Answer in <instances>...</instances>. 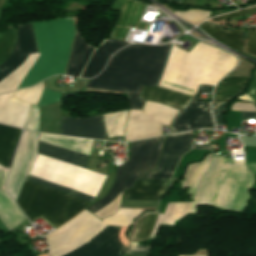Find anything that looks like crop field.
<instances>
[{"label":"crop field","instance_id":"8a807250","mask_svg":"<svg viewBox=\"0 0 256 256\" xmlns=\"http://www.w3.org/2000/svg\"><path fill=\"white\" fill-rule=\"evenodd\" d=\"M171 45L133 44L119 50L103 72L90 79L86 88L127 92L129 107L140 109L144 102L137 99L140 87L158 85Z\"/></svg>","mask_w":256,"mask_h":256},{"label":"crop field","instance_id":"ac0d7876","mask_svg":"<svg viewBox=\"0 0 256 256\" xmlns=\"http://www.w3.org/2000/svg\"><path fill=\"white\" fill-rule=\"evenodd\" d=\"M236 61L234 56L199 41L188 52L172 46L158 86L193 97L199 84L214 86Z\"/></svg>","mask_w":256,"mask_h":256},{"label":"crop field","instance_id":"34b2d1b8","mask_svg":"<svg viewBox=\"0 0 256 256\" xmlns=\"http://www.w3.org/2000/svg\"><path fill=\"white\" fill-rule=\"evenodd\" d=\"M87 211L43 236L50 247V256H63L89 240L104 225ZM120 227L107 226L82 246L65 256H122L126 248L120 243L117 232Z\"/></svg>","mask_w":256,"mask_h":256},{"label":"crop field","instance_id":"412701ff","mask_svg":"<svg viewBox=\"0 0 256 256\" xmlns=\"http://www.w3.org/2000/svg\"><path fill=\"white\" fill-rule=\"evenodd\" d=\"M40 56L20 85L32 86L55 74L65 73L74 38L71 18L32 23Z\"/></svg>","mask_w":256,"mask_h":256},{"label":"crop field","instance_id":"f4fd0767","mask_svg":"<svg viewBox=\"0 0 256 256\" xmlns=\"http://www.w3.org/2000/svg\"><path fill=\"white\" fill-rule=\"evenodd\" d=\"M51 191V189L25 180L17 204L30 220ZM88 204L71 195L53 190L30 222L42 215L57 227L78 214Z\"/></svg>","mask_w":256,"mask_h":256},{"label":"crop field","instance_id":"dd49c442","mask_svg":"<svg viewBox=\"0 0 256 256\" xmlns=\"http://www.w3.org/2000/svg\"><path fill=\"white\" fill-rule=\"evenodd\" d=\"M214 87L200 85L197 92L212 93ZM184 96L167 89L159 87L142 86L138 98L152 100L181 109L179 115L171 123L175 132H182L191 129H215V124L210 108L211 102H195V98Z\"/></svg>","mask_w":256,"mask_h":256},{"label":"crop field","instance_id":"e52e79f7","mask_svg":"<svg viewBox=\"0 0 256 256\" xmlns=\"http://www.w3.org/2000/svg\"><path fill=\"white\" fill-rule=\"evenodd\" d=\"M192 132L168 136L160 153L156 172L140 178L170 179L179 158L191 148ZM170 180L137 179L123 197L158 199L168 188Z\"/></svg>","mask_w":256,"mask_h":256},{"label":"crop field","instance_id":"d8731c3e","mask_svg":"<svg viewBox=\"0 0 256 256\" xmlns=\"http://www.w3.org/2000/svg\"><path fill=\"white\" fill-rule=\"evenodd\" d=\"M38 154L43 155L46 157H50L56 160H60L63 162H67L70 164H74L80 167H86V163L88 160L87 154L79 153V152H74L66 149H61L53 146H48L44 144H38ZM30 175L60 184L64 185L91 195L96 196L100 186L67 176L65 174L38 166V165H33ZM28 177V179L33 180L37 183L58 189L60 191L69 193L73 196L79 197L81 199H84L86 201L92 202L94 199V196L64 187L60 186L33 176Z\"/></svg>","mask_w":256,"mask_h":256},{"label":"crop field","instance_id":"5a996713","mask_svg":"<svg viewBox=\"0 0 256 256\" xmlns=\"http://www.w3.org/2000/svg\"><path fill=\"white\" fill-rule=\"evenodd\" d=\"M163 138L132 143L130 159L118 168L113 188L103 199L87 209L95 214L119 193L129 188L136 180V177L142 176L148 171L155 170L156 158L160 151Z\"/></svg>","mask_w":256,"mask_h":256},{"label":"crop field","instance_id":"3316defc","mask_svg":"<svg viewBox=\"0 0 256 256\" xmlns=\"http://www.w3.org/2000/svg\"><path fill=\"white\" fill-rule=\"evenodd\" d=\"M127 44H129V42H120L108 39L95 51L82 78H91L98 75L106 66L109 57L117 50L125 47ZM93 51L94 47L90 46L83 39L81 34L76 31L66 75L80 77Z\"/></svg>","mask_w":256,"mask_h":256},{"label":"crop field","instance_id":"28ad6ade","mask_svg":"<svg viewBox=\"0 0 256 256\" xmlns=\"http://www.w3.org/2000/svg\"><path fill=\"white\" fill-rule=\"evenodd\" d=\"M37 142V133L23 131L18 151L6 184L7 191L15 201H17L23 182L27 178L37 156Z\"/></svg>","mask_w":256,"mask_h":256},{"label":"crop field","instance_id":"d1516ede","mask_svg":"<svg viewBox=\"0 0 256 256\" xmlns=\"http://www.w3.org/2000/svg\"><path fill=\"white\" fill-rule=\"evenodd\" d=\"M17 35V42L12 54L0 65V80L21 65L29 53L37 52L31 24L18 25Z\"/></svg>","mask_w":256,"mask_h":256},{"label":"crop field","instance_id":"22f410ed","mask_svg":"<svg viewBox=\"0 0 256 256\" xmlns=\"http://www.w3.org/2000/svg\"><path fill=\"white\" fill-rule=\"evenodd\" d=\"M250 76L244 77H224L215 88L213 101L228 102L233 96L241 93L242 88L246 86ZM213 102V112L217 126L223 125L222 114L224 103Z\"/></svg>","mask_w":256,"mask_h":256},{"label":"crop field","instance_id":"cbeb9de0","mask_svg":"<svg viewBox=\"0 0 256 256\" xmlns=\"http://www.w3.org/2000/svg\"><path fill=\"white\" fill-rule=\"evenodd\" d=\"M145 7L137 0H126L111 39L124 40L129 27L148 30L151 24L139 23Z\"/></svg>","mask_w":256,"mask_h":256},{"label":"crop field","instance_id":"5142ce71","mask_svg":"<svg viewBox=\"0 0 256 256\" xmlns=\"http://www.w3.org/2000/svg\"><path fill=\"white\" fill-rule=\"evenodd\" d=\"M99 116L101 115L93 116L89 118L77 119V120H85V119H90V118L99 117ZM66 119H72V118H66ZM66 119H61V134L105 139V133H104L101 117L85 120V121L66 120Z\"/></svg>","mask_w":256,"mask_h":256},{"label":"crop field","instance_id":"d9b57169","mask_svg":"<svg viewBox=\"0 0 256 256\" xmlns=\"http://www.w3.org/2000/svg\"><path fill=\"white\" fill-rule=\"evenodd\" d=\"M29 104L10 98L0 107V122L23 128Z\"/></svg>","mask_w":256,"mask_h":256},{"label":"crop field","instance_id":"733c2abd","mask_svg":"<svg viewBox=\"0 0 256 256\" xmlns=\"http://www.w3.org/2000/svg\"><path fill=\"white\" fill-rule=\"evenodd\" d=\"M21 130L0 125V163L9 168Z\"/></svg>","mask_w":256,"mask_h":256},{"label":"crop field","instance_id":"4a817a6b","mask_svg":"<svg viewBox=\"0 0 256 256\" xmlns=\"http://www.w3.org/2000/svg\"><path fill=\"white\" fill-rule=\"evenodd\" d=\"M199 27L224 45L243 53L242 29L224 31L221 27L210 23H203Z\"/></svg>","mask_w":256,"mask_h":256},{"label":"crop field","instance_id":"bc2a9ffb","mask_svg":"<svg viewBox=\"0 0 256 256\" xmlns=\"http://www.w3.org/2000/svg\"><path fill=\"white\" fill-rule=\"evenodd\" d=\"M25 219L7 193L0 190V222L7 231L16 228Z\"/></svg>","mask_w":256,"mask_h":256},{"label":"crop field","instance_id":"214f88e0","mask_svg":"<svg viewBox=\"0 0 256 256\" xmlns=\"http://www.w3.org/2000/svg\"><path fill=\"white\" fill-rule=\"evenodd\" d=\"M191 203H174L169 202L163 215H158L157 222L150 236L153 235L154 230L158 224H170L172 225L174 219H180L185 216L186 213H190Z\"/></svg>","mask_w":256,"mask_h":256},{"label":"crop field","instance_id":"92a150f3","mask_svg":"<svg viewBox=\"0 0 256 256\" xmlns=\"http://www.w3.org/2000/svg\"><path fill=\"white\" fill-rule=\"evenodd\" d=\"M211 160V154H208L201 163L190 164L186 170L182 186L196 188L201 177L207 171Z\"/></svg>","mask_w":256,"mask_h":256},{"label":"crop field","instance_id":"dafd665d","mask_svg":"<svg viewBox=\"0 0 256 256\" xmlns=\"http://www.w3.org/2000/svg\"><path fill=\"white\" fill-rule=\"evenodd\" d=\"M157 215L158 213L156 212L155 214H146L137 219L130 232L129 238L132 240L147 239L156 222Z\"/></svg>","mask_w":256,"mask_h":256},{"label":"crop field","instance_id":"00972430","mask_svg":"<svg viewBox=\"0 0 256 256\" xmlns=\"http://www.w3.org/2000/svg\"><path fill=\"white\" fill-rule=\"evenodd\" d=\"M142 211V209H119L114 216L103 219L101 224L129 226Z\"/></svg>","mask_w":256,"mask_h":256},{"label":"crop field","instance_id":"a9b5d70f","mask_svg":"<svg viewBox=\"0 0 256 256\" xmlns=\"http://www.w3.org/2000/svg\"><path fill=\"white\" fill-rule=\"evenodd\" d=\"M42 92L43 81L32 88L17 90L12 98H16L23 102L37 105Z\"/></svg>","mask_w":256,"mask_h":256},{"label":"crop field","instance_id":"4177f3b9","mask_svg":"<svg viewBox=\"0 0 256 256\" xmlns=\"http://www.w3.org/2000/svg\"><path fill=\"white\" fill-rule=\"evenodd\" d=\"M17 35L13 26H10L7 33L0 35V64L6 60L13 50Z\"/></svg>","mask_w":256,"mask_h":256},{"label":"crop field","instance_id":"730fd06b","mask_svg":"<svg viewBox=\"0 0 256 256\" xmlns=\"http://www.w3.org/2000/svg\"><path fill=\"white\" fill-rule=\"evenodd\" d=\"M39 127V107L31 105L24 128L38 131Z\"/></svg>","mask_w":256,"mask_h":256},{"label":"crop field","instance_id":"eef30255","mask_svg":"<svg viewBox=\"0 0 256 256\" xmlns=\"http://www.w3.org/2000/svg\"><path fill=\"white\" fill-rule=\"evenodd\" d=\"M60 96H61L60 93H56V92L44 89V92L42 94V97L40 99L38 106L52 104L60 100Z\"/></svg>","mask_w":256,"mask_h":256},{"label":"crop field","instance_id":"ae1a2a85","mask_svg":"<svg viewBox=\"0 0 256 256\" xmlns=\"http://www.w3.org/2000/svg\"><path fill=\"white\" fill-rule=\"evenodd\" d=\"M246 54L256 58V32L249 31Z\"/></svg>","mask_w":256,"mask_h":256},{"label":"crop field","instance_id":"d3111659","mask_svg":"<svg viewBox=\"0 0 256 256\" xmlns=\"http://www.w3.org/2000/svg\"><path fill=\"white\" fill-rule=\"evenodd\" d=\"M252 13H256V7L246 9L243 11H239V12H235V13H231V14H227V15H223V16L217 17L216 20L232 19V18H236V17H240V16H246V15L252 14Z\"/></svg>","mask_w":256,"mask_h":256},{"label":"crop field","instance_id":"750c4746","mask_svg":"<svg viewBox=\"0 0 256 256\" xmlns=\"http://www.w3.org/2000/svg\"><path fill=\"white\" fill-rule=\"evenodd\" d=\"M148 248L129 245L126 253L145 256Z\"/></svg>","mask_w":256,"mask_h":256},{"label":"crop field","instance_id":"bd1437ed","mask_svg":"<svg viewBox=\"0 0 256 256\" xmlns=\"http://www.w3.org/2000/svg\"><path fill=\"white\" fill-rule=\"evenodd\" d=\"M9 170L5 169V168H1L0 169V189H4V184L7 178Z\"/></svg>","mask_w":256,"mask_h":256},{"label":"crop field","instance_id":"1d83c4d3","mask_svg":"<svg viewBox=\"0 0 256 256\" xmlns=\"http://www.w3.org/2000/svg\"><path fill=\"white\" fill-rule=\"evenodd\" d=\"M256 113L241 112V118H255Z\"/></svg>","mask_w":256,"mask_h":256},{"label":"crop field","instance_id":"120bbe31","mask_svg":"<svg viewBox=\"0 0 256 256\" xmlns=\"http://www.w3.org/2000/svg\"><path fill=\"white\" fill-rule=\"evenodd\" d=\"M211 146H197L193 145V149L195 150H210Z\"/></svg>","mask_w":256,"mask_h":256},{"label":"crop field","instance_id":"d32e631a","mask_svg":"<svg viewBox=\"0 0 256 256\" xmlns=\"http://www.w3.org/2000/svg\"><path fill=\"white\" fill-rule=\"evenodd\" d=\"M254 103H256V92H255V95H254Z\"/></svg>","mask_w":256,"mask_h":256},{"label":"crop field","instance_id":"5866460e","mask_svg":"<svg viewBox=\"0 0 256 256\" xmlns=\"http://www.w3.org/2000/svg\"><path fill=\"white\" fill-rule=\"evenodd\" d=\"M170 1L181 2V0H170Z\"/></svg>","mask_w":256,"mask_h":256},{"label":"crop field","instance_id":"028f5c9d","mask_svg":"<svg viewBox=\"0 0 256 256\" xmlns=\"http://www.w3.org/2000/svg\"><path fill=\"white\" fill-rule=\"evenodd\" d=\"M1 168V167H0Z\"/></svg>","mask_w":256,"mask_h":256}]
</instances>
